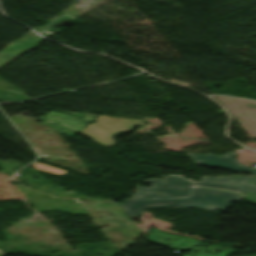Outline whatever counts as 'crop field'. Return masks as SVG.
Here are the masks:
<instances>
[{
    "instance_id": "d8731c3e",
    "label": "crop field",
    "mask_w": 256,
    "mask_h": 256,
    "mask_svg": "<svg viewBox=\"0 0 256 256\" xmlns=\"http://www.w3.org/2000/svg\"><path fill=\"white\" fill-rule=\"evenodd\" d=\"M247 198L255 199L256 200V194L248 193Z\"/></svg>"
},
{
    "instance_id": "f4fd0767",
    "label": "crop field",
    "mask_w": 256,
    "mask_h": 256,
    "mask_svg": "<svg viewBox=\"0 0 256 256\" xmlns=\"http://www.w3.org/2000/svg\"><path fill=\"white\" fill-rule=\"evenodd\" d=\"M31 167L37 168V169H40V170H43L45 172L55 174V175H62V174L67 172V171H64V170L48 167V166H46L44 164H40V163H36V164L32 165Z\"/></svg>"
},
{
    "instance_id": "3316defc",
    "label": "crop field",
    "mask_w": 256,
    "mask_h": 256,
    "mask_svg": "<svg viewBox=\"0 0 256 256\" xmlns=\"http://www.w3.org/2000/svg\"><path fill=\"white\" fill-rule=\"evenodd\" d=\"M109 136H110V135H109ZM109 136H108V137H109ZM110 144H111V143H110Z\"/></svg>"
},
{
    "instance_id": "ac0d7876",
    "label": "crop field",
    "mask_w": 256,
    "mask_h": 256,
    "mask_svg": "<svg viewBox=\"0 0 256 256\" xmlns=\"http://www.w3.org/2000/svg\"><path fill=\"white\" fill-rule=\"evenodd\" d=\"M188 155L194 160L195 163L196 161H198L199 163H196L198 165L229 169L234 172H249L253 175H256V169L248 168L245 165L244 167H242L243 164L236 162L235 153H229V154L223 155V157H218L213 154H207L206 156V155L188 153ZM192 156H195V157L193 158ZM238 164H240V166H238Z\"/></svg>"
},
{
    "instance_id": "e52e79f7",
    "label": "crop field",
    "mask_w": 256,
    "mask_h": 256,
    "mask_svg": "<svg viewBox=\"0 0 256 256\" xmlns=\"http://www.w3.org/2000/svg\"><path fill=\"white\" fill-rule=\"evenodd\" d=\"M135 196L136 197H134V194H133L132 198L127 200L126 202H138L141 197H139L140 195H135Z\"/></svg>"
},
{
    "instance_id": "34b2d1b8",
    "label": "crop field",
    "mask_w": 256,
    "mask_h": 256,
    "mask_svg": "<svg viewBox=\"0 0 256 256\" xmlns=\"http://www.w3.org/2000/svg\"><path fill=\"white\" fill-rule=\"evenodd\" d=\"M150 231H152V233L148 234L147 239L150 241H153L155 243H158V244H164V245L168 246L167 244H169V243H165L167 241V239L168 238L175 239V238H172V236L174 237L175 235L167 234L162 231L156 230L154 228L150 229ZM194 244L198 245V246L209 245V244L199 243L198 241H195L194 239H191V238L177 236V239L174 241L171 248H177V247L184 248L183 246H185V248H195V247H192ZM175 245L177 247H175ZM168 247H170V246H168ZM196 249H203V248H196ZM204 250H207V249H204Z\"/></svg>"
},
{
    "instance_id": "5a996713",
    "label": "crop field",
    "mask_w": 256,
    "mask_h": 256,
    "mask_svg": "<svg viewBox=\"0 0 256 256\" xmlns=\"http://www.w3.org/2000/svg\"><path fill=\"white\" fill-rule=\"evenodd\" d=\"M243 202L256 204V202H254V201H250V200H246V199H244V201H243Z\"/></svg>"
},
{
    "instance_id": "d1516ede",
    "label": "crop field",
    "mask_w": 256,
    "mask_h": 256,
    "mask_svg": "<svg viewBox=\"0 0 256 256\" xmlns=\"http://www.w3.org/2000/svg\"><path fill=\"white\" fill-rule=\"evenodd\" d=\"M2 254V253H1Z\"/></svg>"
},
{
    "instance_id": "dd49c442",
    "label": "crop field",
    "mask_w": 256,
    "mask_h": 256,
    "mask_svg": "<svg viewBox=\"0 0 256 256\" xmlns=\"http://www.w3.org/2000/svg\"><path fill=\"white\" fill-rule=\"evenodd\" d=\"M230 253H231V251L224 250L221 254L213 255V254L205 253V254H200V255H197V256H228V254H230ZM186 256H190V255H186Z\"/></svg>"
},
{
    "instance_id": "412701ff",
    "label": "crop field",
    "mask_w": 256,
    "mask_h": 256,
    "mask_svg": "<svg viewBox=\"0 0 256 256\" xmlns=\"http://www.w3.org/2000/svg\"><path fill=\"white\" fill-rule=\"evenodd\" d=\"M44 117H46L48 119V121H50V122L58 123V121H60L61 123H59V124L64 125L70 129L78 131V132H80L87 124H89V123L82 121L81 119L71 117V116H68L65 114L57 113L54 111L48 113ZM84 119L90 120V121L95 120L94 118H90V117H84Z\"/></svg>"
},
{
    "instance_id": "28ad6ade",
    "label": "crop field",
    "mask_w": 256,
    "mask_h": 256,
    "mask_svg": "<svg viewBox=\"0 0 256 256\" xmlns=\"http://www.w3.org/2000/svg\"><path fill=\"white\" fill-rule=\"evenodd\" d=\"M0 256H2V255L0 254Z\"/></svg>"
},
{
    "instance_id": "8a807250",
    "label": "crop field",
    "mask_w": 256,
    "mask_h": 256,
    "mask_svg": "<svg viewBox=\"0 0 256 256\" xmlns=\"http://www.w3.org/2000/svg\"><path fill=\"white\" fill-rule=\"evenodd\" d=\"M246 181L256 182V178L233 176L222 178L204 177L201 183L190 182L179 176H164V180L148 179L144 182L153 183V187H137L140 190L136 194L143 195V198L138 203H123L120 206L127 216H137L149 208L190 207L203 210L226 209V207L230 206L231 202L240 201L241 196L231 192L191 187L198 186L240 192L243 197H246L248 192L256 193V186L247 184L245 183ZM158 191L164 192V194H156ZM154 197L156 199H153Z\"/></svg>"
}]
</instances>
